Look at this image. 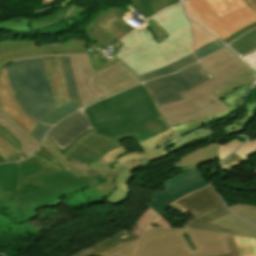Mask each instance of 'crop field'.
Listing matches in <instances>:
<instances>
[{
    "instance_id": "28ad6ade",
    "label": "crop field",
    "mask_w": 256,
    "mask_h": 256,
    "mask_svg": "<svg viewBox=\"0 0 256 256\" xmlns=\"http://www.w3.org/2000/svg\"><path fill=\"white\" fill-rule=\"evenodd\" d=\"M75 84L80 97L81 108L105 98L91 83L96 72L92 69L89 54H69Z\"/></svg>"
},
{
    "instance_id": "750c4746",
    "label": "crop field",
    "mask_w": 256,
    "mask_h": 256,
    "mask_svg": "<svg viewBox=\"0 0 256 256\" xmlns=\"http://www.w3.org/2000/svg\"><path fill=\"white\" fill-rule=\"evenodd\" d=\"M219 151V144H210L207 145L199 150H196L187 156H185L183 159H181L179 162L175 163V167H186L188 165L203 161L207 158H210L212 156L218 155Z\"/></svg>"
},
{
    "instance_id": "fb207236",
    "label": "crop field",
    "mask_w": 256,
    "mask_h": 256,
    "mask_svg": "<svg viewBox=\"0 0 256 256\" xmlns=\"http://www.w3.org/2000/svg\"><path fill=\"white\" fill-rule=\"evenodd\" d=\"M255 110H256V102L250 105L249 107L250 114L253 115Z\"/></svg>"
},
{
    "instance_id": "819c52e7",
    "label": "crop field",
    "mask_w": 256,
    "mask_h": 256,
    "mask_svg": "<svg viewBox=\"0 0 256 256\" xmlns=\"http://www.w3.org/2000/svg\"><path fill=\"white\" fill-rule=\"evenodd\" d=\"M1 201V200H0Z\"/></svg>"
},
{
    "instance_id": "d9b57169",
    "label": "crop field",
    "mask_w": 256,
    "mask_h": 256,
    "mask_svg": "<svg viewBox=\"0 0 256 256\" xmlns=\"http://www.w3.org/2000/svg\"><path fill=\"white\" fill-rule=\"evenodd\" d=\"M0 109L29 133L34 127L15 103L4 69L0 70Z\"/></svg>"
},
{
    "instance_id": "733c2abd",
    "label": "crop field",
    "mask_w": 256,
    "mask_h": 256,
    "mask_svg": "<svg viewBox=\"0 0 256 256\" xmlns=\"http://www.w3.org/2000/svg\"><path fill=\"white\" fill-rule=\"evenodd\" d=\"M33 162L37 167H39L42 171L29 174L23 178H20L18 187L31 182L37 178H41L53 172L64 169V167L42 146L40 147L39 152L32 157L27 158L24 161L19 162V167L26 165L28 163Z\"/></svg>"
},
{
    "instance_id": "dafd665d",
    "label": "crop field",
    "mask_w": 256,
    "mask_h": 256,
    "mask_svg": "<svg viewBox=\"0 0 256 256\" xmlns=\"http://www.w3.org/2000/svg\"><path fill=\"white\" fill-rule=\"evenodd\" d=\"M135 238H137V235L135 234L133 229L129 232L122 230L106 239H103L89 246V248L95 251L99 256H104L116 247L123 245Z\"/></svg>"
},
{
    "instance_id": "5142ce71",
    "label": "crop field",
    "mask_w": 256,
    "mask_h": 256,
    "mask_svg": "<svg viewBox=\"0 0 256 256\" xmlns=\"http://www.w3.org/2000/svg\"><path fill=\"white\" fill-rule=\"evenodd\" d=\"M175 203L194 214L197 218L223 206L211 185L193 192Z\"/></svg>"
},
{
    "instance_id": "ac0d7876",
    "label": "crop field",
    "mask_w": 256,
    "mask_h": 256,
    "mask_svg": "<svg viewBox=\"0 0 256 256\" xmlns=\"http://www.w3.org/2000/svg\"><path fill=\"white\" fill-rule=\"evenodd\" d=\"M202 71L213 77L184 93L186 99L158 106V110L169 127L194 121L229 107L216 100L212 91L226 85L249 67L228 48L222 49L200 61ZM208 106V107H206Z\"/></svg>"
},
{
    "instance_id": "c5b07064",
    "label": "crop field",
    "mask_w": 256,
    "mask_h": 256,
    "mask_svg": "<svg viewBox=\"0 0 256 256\" xmlns=\"http://www.w3.org/2000/svg\"><path fill=\"white\" fill-rule=\"evenodd\" d=\"M173 208H175L176 210H178L179 212H181L183 215H185L186 213H188V211H186L185 209L181 208L180 206H178L177 204L173 203L171 205Z\"/></svg>"
},
{
    "instance_id": "180be81f",
    "label": "crop field",
    "mask_w": 256,
    "mask_h": 256,
    "mask_svg": "<svg viewBox=\"0 0 256 256\" xmlns=\"http://www.w3.org/2000/svg\"><path fill=\"white\" fill-rule=\"evenodd\" d=\"M5 159L0 156V163H4Z\"/></svg>"
},
{
    "instance_id": "25e5ab78",
    "label": "crop field",
    "mask_w": 256,
    "mask_h": 256,
    "mask_svg": "<svg viewBox=\"0 0 256 256\" xmlns=\"http://www.w3.org/2000/svg\"><path fill=\"white\" fill-rule=\"evenodd\" d=\"M139 241V238L134 240V241H131L117 249H115L114 251H112L111 253H109L108 255L106 256H132L133 252H134V249L137 245Z\"/></svg>"
},
{
    "instance_id": "d14b1444",
    "label": "crop field",
    "mask_w": 256,
    "mask_h": 256,
    "mask_svg": "<svg viewBox=\"0 0 256 256\" xmlns=\"http://www.w3.org/2000/svg\"><path fill=\"white\" fill-rule=\"evenodd\" d=\"M217 158H218V156H216V157H212V158H210V159H208V160H205V161H203V162H200V163H197V164L191 165V166H189V167L185 168L183 171H186V170H189V169H191V170H193V169H197V167H198V166H200L202 163H204V162H208V161H211V160H214V159H217Z\"/></svg>"
},
{
    "instance_id": "0f1d7ab4",
    "label": "crop field",
    "mask_w": 256,
    "mask_h": 256,
    "mask_svg": "<svg viewBox=\"0 0 256 256\" xmlns=\"http://www.w3.org/2000/svg\"><path fill=\"white\" fill-rule=\"evenodd\" d=\"M77 6V5H76ZM70 12L69 14V18H68V23H71V22H75L79 19H81V13L79 12L82 8L80 7H76Z\"/></svg>"
},
{
    "instance_id": "eef30255",
    "label": "crop field",
    "mask_w": 256,
    "mask_h": 256,
    "mask_svg": "<svg viewBox=\"0 0 256 256\" xmlns=\"http://www.w3.org/2000/svg\"><path fill=\"white\" fill-rule=\"evenodd\" d=\"M137 11L146 18V20L153 14L162 9L180 2V0H129Z\"/></svg>"
},
{
    "instance_id": "00972430",
    "label": "crop field",
    "mask_w": 256,
    "mask_h": 256,
    "mask_svg": "<svg viewBox=\"0 0 256 256\" xmlns=\"http://www.w3.org/2000/svg\"><path fill=\"white\" fill-rule=\"evenodd\" d=\"M225 208L226 207L223 206L217 210H214V211L204 215L203 217L190 223L187 228L239 235L238 233H235V232L226 230L224 228L209 224V223H213V222L231 214V212H229L228 210H225Z\"/></svg>"
},
{
    "instance_id": "f4fd0767",
    "label": "crop field",
    "mask_w": 256,
    "mask_h": 256,
    "mask_svg": "<svg viewBox=\"0 0 256 256\" xmlns=\"http://www.w3.org/2000/svg\"><path fill=\"white\" fill-rule=\"evenodd\" d=\"M187 233L197 251H192ZM230 253L224 235L191 230L149 228L142 236L134 256H213Z\"/></svg>"
},
{
    "instance_id": "1f2cbd36",
    "label": "crop field",
    "mask_w": 256,
    "mask_h": 256,
    "mask_svg": "<svg viewBox=\"0 0 256 256\" xmlns=\"http://www.w3.org/2000/svg\"><path fill=\"white\" fill-rule=\"evenodd\" d=\"M0 135L3 136L5 139H7L8 141H10L13 146L20 152L17 155H14L8 159H6V162H12V161H19L21 159L26 158L23 153L20 151V147L18 142L4 129L0 128Z\"/></svg>"
},
{
    "instance_id": "34b2d1b8",
    "label": "crop field",
    "mask_w": 256,
    "mask_h": 256,
    "mask_svg": "<svg viewBox=\"0 0 256 256\" xmlns=\"http://www.w3.org/2000/svg\"><path fill=\"white\" fill-rule=\"evenodd\" d=\"M152 18L170 36L158 45L146 27L139 29L145 44L129 50L122 46L116 55L138 76L193 53L191 26L182 12L181 4L171 6Z\"/></svg>"
},
{
    "instance_id": "5a996713",
    "label": "crop field",
    "mask_w": 256,
    "mask_h": 256,
    "mask_svg": "<svg viewBox=\"0 0 256 256\" xmlns=\"http://www.w3.org/2000/svg\"><path fill=\"white\" fill-rule=\"evenodd\" d=\"M188 2L222 40L256 21V14L248 6L218 18L204 0H188Z\"/></svg>"
},
{
    "instance_id": "ade564c9",
    "label": "crop field",
    "mask_w": 256,
    "mask_h": 256,
    "mask_svg": "<svg viewBox=\"0 0 256 256\" xmlns=\"http://www.w3.org/2000/svg\"><path fill=\"white\" fill-rule=\"evenodd\" d=\"M256 13V0H243Z\"/></svg>"
},
{
    "instance_id": "22f410ed",
    "label": "crop field",
    "mask_w": 256,
    "mask_h": 256,
    "mask_svg": "<svg viewBox=\"0 0 256 256\" xmlns=\"http://www.w3.org/2000/svg\"><path fill=\"white\" fill-rule=\"evenodd\" d=\"M92 129L82 111H79L61 121L50 130L48 137L60 149L61 153L80 135Z\"/></svg>"
},
{
    "instance_id": "9d1cf04e",
    "label": "crop field",
    "mask_w": 256,
    "mask_h": 256,
    "mask_svg": "<svg viewBox=\"0 0 256 256\" xmlns=\"http://www.w3.org/2000/svg\"><path fill=\"white\" fill-rule=\"evenodd\" d=\"M0 153L5 159L18 153L10 142L0 136Z\"/></svg>"
},
{
    "instance_id": "f0312440",
    "label": "crop field",
    "mask_w": 256,
    "mask_h": 256,
    "mask_svg": "<svg viewBox=\"0 0 256 256\" xmlns=\"http://www.w3.org/2000/svg\"><path fill=\"white\" fill-rule=\"evenodd\" d=\"M3 192V190H2V188L0 187V193H2Z\"/></svg>"
},
{
    "instance_id": "c035e120",
    "label": "crop field",
    "mask_w": 256,
    "mask_h": 256,
    "mask_svg": "<svg viewBox=\"0 0 256 256\" xmlns=\"http://www.w3.org/2000/svg\"><path fill=\"white\" fill-rule=\"evenodd\" d=\"M60 61H61V67H62V71H63V75H64V79H65V83H66V87H67L70 99L71 100L77 99L79 97L74 84L69 59L68 57H64V58H60Z\"/></svg>"
},
{
    "instance_id": "7b73153f",
    "label": "crop field",
    "mask_w": 256,
    "mask_h": 256,
    "mask_svg": "<svg viewBox=\"0 0 256 256\" xmlns=\"http://www.w3.org/2000/svg\"><path fill=\"white\" fill-rule=\"evenodd\" d=\"M256 27V23H253L245 28H243L242 30L238 31L237 33H235L234 35L230 36L229 38L223 40L225 43L229 44L231 41H233L236 37L246 33L247 31H249L250 29Z\"/></svg>"
},
{
    "instance_id": "d1516ede",
    "label": "crop field",
    "mask_w": 256,
    "mask_h": 256,
    "mask_svg": "<svg viewBox=\"0 0 256 256\" xmlns=\"http://www.w3.org/2000/svg\"><path fill=\"white\" fill-rule=\"evenodd\" d=\"M97 73L92 85L106 97L141 83L134 73L119 61Z\"/></svg>"
},
{
    "instance_id": "447ae74e",
    "label": "crop field",
    "mask_w": 256,
    "mask_h": 256,
    "mask_svg": "<svg viewBox=\"0 0 256 256\" xmlns=\"http://www.w3.org/2000/svg\"><path fill=\"white\" fill-rule=\"evenodd\" d=\"M246 160L239 157L236 154H232L225 161H223L220 166L223 167V170H228L236 167L239 163L245 162Z\"/></svg>"
},
{
    "instance_id": "d3111659",
    "label": "crop field",
    "mask_w": 256,
    "mask_h": 256,
    "mask_svg": "<svg viewBox=\"0 0 256 256\" xmlns=\"http://www.w3.org/2000/svg\"><path fill=\"white\" fill-rule=\"evenodd\" d=\"M203 180H205L203 175L200 172L193 170L188 173L181 174L178 177L164 183V186L168 190L169 194H171Z\"/></svg>"
},
{
    "instance_id": "0bd39190",
    "label": "crop field",
    "mask_w": 256,
    "mask_h": 256,
    "mask_svg": "<svg viewBox=\"0 0 256 256\" xmlns=\"http://www.w3.org/2000/svg\"><path fill=\"white\" fill-rule=\"evenodd\" d=\"M255 79V76L252 72V70H248L239 77H237L235 80L224 86L223 88L213 92L214 96L217 98V100L232 91L240 88L243 84Z\"/></svg>"
},
{
    "instance_id": "b54c1fbb",
    "label": "crop field",
    "mask_w": 256,
    "mask_h": 256,
    "mask_svg": "<svg viewBox=\"0 0 256 256\" xmlns=\"http://www.w3.org/2000/svg\"><path fill=\"white\" fill-rule=\"evenodd\" d=\"M159 215L154 212L150 207L145 212L144 217L137 224L136 228H133L138 237L144 232V230L158 217Z\"/></svg>"
},
{
    "instance_id": "1f1604b0",
    "label": "crop field",
    "mask_w": 256,
    "mask_h": 256,
    "mask_svg": "<svg viewBox=\"0 0 256 256\" xmlns=\"http://www.w3.org/2000/svg\"><path fill=\"white\" fill-rule=\"evenodd\" d=\"M255 175H256V169H254V172H253Z\"/></svg>"
},
{
    "instance_id": "7312dd0a",
    "label": "crop field",
    "mask_w": 256,
    "mask_h": 256,
    "mask_svg": "<svg viewBox=\"0 0 256 256\" xmlns=\"http://www.w3.org/2000/svg\"><path fill=\"white\" fill-rule=\"evenodd\" d=\"M97 254H95L94 252H89L88 254H86V255H83V256H96Z\"/></svg>"
},
{
    "instance_id": "89e229c0",
    "label": "crop field",
    "mask_w": 256,
    "mask_h": 256,
    "mask_svg": "<svg viewBox=\"0 0 256 256\" xmlns=\"http://www.w3.org/2000/svg\"><path fill=\"white\" fill-rule=\"evenodd\" d=\"M250 118V116L244 117L228 125L226 128H224L225 136H231L237 132H240L243 127L248 123Z\"/></svg>"
},
{
    "instance_id": "1d83c4d3",
    "label": "crop field",
    "mask_w": 256,
    "mask_h": 256,
    "mask_svg": "<svg viewBox=\"0 0 256 256\" xmlns=\"http://www.w3.org/2000/svg\"><path fill=\"white\" fill-rule=\"evenodd\" d=\"M169 129V127L164 122L163 118L154 120L134 131L130 134L135 138L137 143L144 141L145 139L154 136L162 131Z\"/></svg>"
},
{
    "instance_id": "5866460e",
    "label": "crop field",
    "mask_w": 256,
    "mask_h": 256,
    "mask_svg": "<svg viewBox=\"0 0 256 256\" xmlns=\"http://www.w3.org/2000/svg\"><path fill=\"white\" fill-rule=\"evenodd\" d=\"M100 25L120 41L125 35L135 30L133 27H131L113 14Z\"/></svg>"
},
{
    "instance_id": "ae1a2a85",
    "label": "crop field",
    "mask_w": 256,
    "mask_h": 256,
    "mask_svg": "<svg viewBox=\"0 0 256 256\" xmlns=\"http://www.w3.org/2000/svg\"><path fill=\"white\" fill-rule=\"evenodd\" d=\"M214 224L235 232H239L241 233V236L256 237V227L239 219L233 214L221 219Z\"/></svg>"
},
{
    "instance_id": "5d738f31",
    "label": "crop field",
    "mask_w": 256,
    "mask_h": 256,
    "mask_svg": "<svg viewBox=\"0 0 256 256\" xmlns=\"http://www.w3.org/2000/svg\"><path fill=\"white\" fill-rule=\"evenodd\" d=\"M192 25L195 35L194 50L216 39L208 33H206L205 31L198 28L197 26H195L193 23Z\"/></svg>"
},
{
    "instance_id": "3316defc",
    "label": "crop field",
    "mask_w": 256,
    "mask_h": 256,
    "mask_svg": "<svg viewBox=\"0 0 256 256\" xmlns=\"http://www.w3.org/2000/svg\"><path fill=\"white\" fill-rule=\"evenodd\" d=\"M87 42L70 40L67 44L36 48L33 42L0 43V69L13 62V59L49 53H82L88 52Z\"/></svg>"
},
{
    "instance_id": "0765c3eb",
    "label": "crop field",
    "mask_w": 256,
    "mask_h": 256,
    "mask_svg": "<svg viewBox=\"0 0 256 256\" xmlns=\"http://www.w3.org/2000/svg\"><path fill=\"white\" fill-rule=\"evenodd\" d=\"M52 126H47L43 123L37 122L33 130L31 131V135L36 138L39 142H41L42 138L44 135L47 133V131L51 128Z\"/></svg>"
},
{
    "instance_id": "4a817a6b",
    "label": "crop field",
    "mask_w": 256,
    "mask_h": 256,
    "mask_svg": "<svg viewBox=\"0 0 256 256\" xmlns=\"http://www.w3.org/2000/svg\"><path fill=\"white\" fill-rule=\"evenodd\" d=\"M0 127L7 130L20 143L21 151L26 157L36 153L40 143L1 110Z\"/></svg>"
},
{
    "instance_id": "8a807250",
    "label": "crop field",
    "mask_w": 256,
    "mask_h": 256,
    "mask_svg": "<svg viewBox=\"0 0 256 256\" xmlns=\"http://www.w3.org/2000/svg\"><path fill=\"white\" fill-rule=\"evenodd\" d=\"M182 138L172 129H169L140 143L142 153L128 154L123 146L108 152L101 158L112 165L106 184L101 185L95 176L75 177L66 169L43 177L40 180L46 185L45 187L18 199V204L8 207V210L17 224L20 225L39 216L35 211L37 208L55 207L63 203L58 197L70 192L90 187L106 199L115 191L114 179L125 162L133 158L153 160L164 156L168 154L166 147L175 144Z\"/></svg>"
},
{
    "instance_id": "92a150f3",
    "label": "crop field",
    "mask_w": 256,
    "mask_h": 256,
    "mask_svg": "<svg viewBox=\"0 0 256 256\" xmlns=\"http://www.w3.org/2000/svg\"><path fill=\"white\" fill-rule=\"evenodd\" d=\"M209 183L205 180L201 183L196 185L190 186L185 188L181 191L173 193L171 195L168 194L167 190H163L161 192L155 193L152 195L153 200L150 202V207L156 211L159 215L161 212L174 201L178 200L179 198L197 190L201 189L202 187L207 186Z\"/></svg>"
},
{
    "instance_id": "dd49c442",
    "label": "crop field",
    "mask_w": 256,
    "mask_h": 256,
    "mask_svg": "<svg viewBox=\"0 0 256 256\" xmlns=\"http://www.w3.org/2000/svg\"><path fill=\"white\" fill-rule=\"evenodd\" d=\"M128 138L132 136L125 134L113 138L105 137L98 135L93 129L80 136L62 154L47 136L42 145L75 176H88L86 171L91 169H96L98 174L106 176L111 165L100 158L109 150L122 146L118 142Z\"/></svg>"
},
{
    "instance_id": "028f5c9d",
    "label": "crop field",
    "mask_w": 256,
    "mask_h": 256,
    "mask_svg": "<svg viewBox=\"0 0 256 256\" xmlns=\"http://www.w3.org/2000/svg\"><path fill=\"white\" fill-rule=\"evenodd\" d=\"M42 186H44V184L38 179L18 189L0 194V199L6 204V206H11L17 203L18 198Z\"/></svg>"
},
{
    "instance_id": "a9b5d70f",
    "label": "crop field",
    "mask_w": 256,
    "mask_h": 256,
    "mask_svg": "<svg viewBox=\"0 0 256 256\" xmlns=\"http://www.w3.org/2000/svg\"><path fill=\"white\" fill-rule=\"evenodd\" d=\"M4 69H5L10 87L12 89L13 95L15 97L16 103L23 110V112L26 114V116L31 120V122L36 124V122L38 120L31 113V111L25 101V98H24L18 77L16 75L15 69L13 67V64H10V65L4 67Z\"/></svg>"
},
{
    "instance_id": "ae633e8c",
    "label": "crop field",
    "mask_w": 256,
    "mask_h": 256,
    "mask_svg": "<svg viewBox=\"0 0 256 256\" xmlns=\"http://www.w3.org/2000/svg\"><path fill=\"white\" fill-rule=\"evenodd\" d=\"M64 56H68V54H50V55H41V56H35V57L20 58V59L14 60V62L23 60V59L38 58V57H64Z\"/></svg>"
},
{
    "instance_id": "c3a83c6f",
    "label": "crop field",
    "mask_w": 256,
    "mask_h": 256,
    "mask_svg": "<svg viewBox=\"0 0 256 256\" xmlns=\"http://www.w3.org/2000/svg\"><path fill=\"white\" fill-rule=\"evenodd\" d=\"M72 1H73V0H65V1H63L61 4H58V5L56 6V8L58 9V8L66 7V6H68V4H70Z\"/></svg>"
},
{
    "instance_id": "d23c7cc5",
    "label": "crop field",
    "mask_w": 256,
    "mask_h": 256,
    "mask_svg": "<svg viewBox=\"0 0 256 256\" xmlns=\"http://www.w3.org/2000/svg\"><path fill=\"white\" fill-rule=\"evenodd\" d=\"M225 47V45H223L220 41H218L217 39L215 41H213L212 43L196 50V56L197 58L200 60L210 54H212L213 52L221 49Z\"/></svg>"
},
{
    "instance_id": "bd1437ed",
    "label": "crop field",
    "mask_w": 256,
    "mask_h": 256,
    "mask_svg": "<svg viewBox=\"0 0 256 256\" xmlns=\"http://www.w3.org/2000/svg\"><path fill=\"white\" fill-rule=\"evenodd\" d=\"M78 110H80L79 99L70 101V102L54 109L53 111L49 112L44 117H42L40 119V121L45 122L47 124L55 125L56 123L61 121L66 116H68Z\"/></svg>"
},
{
    "instance_id": "730fd06b",
    "label": "crop field",
    "mask_w": 256,
    "mask_h": 256,
    "mask_svg": "<svg viewBox=\"0 0 256 256\" xmlns=\"http://www.w3.org/2000/svg\"><path fill=\"white\" fill-rule=\"evenodd\" d=\"M127 168L122 166L115 182L117 184L116 191L110 195L106 200L112 205L116 206L124 202L127 197L130 195V189L128 187V182L134 176L131 174Z\"/></svg>"
},
{
    "instance_id": "120bbe31",
    "label": "crop field",
    "mask_w": 256,
    "mask_h": 256,
    "mask_svg": "<svg viewBox=\"0 0 256 256\" xmlns=\"http://www.w3.org/2000/svg\"><path fill=\"white\" fill-rule=\"evenodd\" d=\"M197 62V59L195 57V54H191L169 66H166L164 68L158 69L156 71L150 72L148 74L142 75L140 76L141 80L143 82L150 80L154 77H158V76H162V75H166V74H170V73H174L177 72L193 63Z\"/></svg>"
},
{
    "instance_id": "214f88e0",
    "label": "crop field",
    "mask_w": 256,
    "mask_h": 256,
    "mask_svg": "<svg viewBox=\"0 0 256 256\" xmlns=\"http://www.w3.org/2000/svg\"><path fill=\"white\" fill-rule=\"evenodd\" d=\"M115 14L122 19V16L128 11L122 8H109L108 13H101L87 28L86 31L93 32L94 36L90 39L99 43L103 47L109 50L111 44L114 41V37L111 36L105 29H103L99 24L104 21L111 14ZM123 20V19H122ZM126 22V21H125ZM128 23V22H127Z\"/></svg>"
},
{
    "instance_id": "0fb4a251",
    "label": "crop field",
    "mask_w": 256,
    "mask_h": 256,
    "mask_svg": "<svg viewBox=\"0 0 256 256\" xmlns=\"http://www.w3.org/2000/svg\"><path fill=\"white\" fill-rule=\"evenodd\" d=\"M255 152H256V138L250 140L248 143L242 146L235 153L246 159Z\"/></svg>"
},
{
    "instance_id": "425ffa30",
    "label": "crop field",
    "mask_w": 256,
    "mask_h": 256,
    "mask_svg": "<svg viewBox=\"0 0 256 256\" xmlns=\"http://www.w3.org/2000/svg\"><path fill=\"white\" fill-rule=\"evenodd\" d=\"M212 135H213V133H212L211 129H204L202 131L194 133V134L190 135L187 139H185L182 143L175 146L173 151L175 152V151L187 146L193 140L203 139V138H206V137H209Z\"/></svg>"
},
{
    "instance_id": "dbb93151",
    "label": "crop field",
    "mask_w": 256,
    "mask_h": 256,
    "mask_svg": "<svg viewBox=\"0 0 256 256\" xmlns=\"http://www.w3.org/2000/svg\"><path fill=\"white\" fill-rule=\"evenodd\" d=\"M242 144L243 143L234 139L232 141L224 143L223 145H220L219 162Z\"/></svg>"
},
{
    "instance_id": "03da06ac",
    "label": "crop field",
    "mask_w": 256,
    "mask_h": 256,
    "mask_svg": "<svg viewBox=\"0 0 256 256\" xmlns=\"http://www.w3.org/2000/svg\"><path fill=\"white\" fill-rule=\"evenodd\" d=\"M234 213L246 218L247 220L256 224V207L243 205V204H236L229 207Z\"/></svg>"
},
{
    "instance_id": "73cf0c24",
    "label": "crop field",
    "mask_w": 256,
    "mask_h": 256,
    "mask_svg": "<svg viewBox=\"0 0 256 256\" xmlns=\"http://www.w3.org/2000/svg\"><path fill=\"white\" fill-rule=\"evenodd\" d=\"M185 10L189 16L195 23H200L202 27L216 35L211 28L207 25V23L203 20V18L191 7V5L187 2V0L184 1ZM217 36V35H216ZM218 37V36H217Z\"/></svg>"
},
{
    "instance_id": "e1f06a70",
    "label": "crop field",
    "mask_w": 256,
    "mask_h": 256,
    "mask_svg": "<svg viewBox=\"0 0 256 256\" xmlns=\"http://www.w3.org/2000/svg\"><path fill=\"white\" fill-rule=\"evenodd\" d=\"M205 1L218 17L234 9L246 6V4L242 0H205Z\"/></svg>"
},
{
    "instance_id": "412701ff",
    "label": "crop field",
    "mask_w": 256,
    "mask_h": 256,
    "mask_svg": "<svg viewBox=\"0 0 256 256\" xmlns=\"http://www.w3.org/2000/svg\"><path fill=\"white\" fill-rule=\"evenodd\" d=\"M84 110L97 133L109 137L129 133L130 130L160 118L143 84Z\"/></svg>"
},
{
    "instance_id": "d32e631a",
    "label": "crop field",
    "mask_w": 256,
    "mask_h": 256,
    "mask_svg": "<svg viewBox=\"0 0 256 256\" xmlns=\"http://www.w3.org/2000/svg\"><path fill=\"white\" fill-rule=\"evenodd\" d=\"M19 178L17 163L0 165V185L4 192L15 189Z\"/></svg>"
},
{
    "instance_id": "cbeb9de0",
    "label": "crop field",
    "mask_w": 256,
    "mask_h": 256,
    "mask_svg": "<svg viewBox=\"0 0 256 256\" xmlns=\"http://www.w3.org/2000/svg\"><path fill=\"white\" fill-rule=\"evenodd\" d=\"M252 82V81H251ZM251 82L243 85L240 89L234 91L233 93L227 95L225 103L231 108L229 110H226L224 112L194 121L190 123H186L180 126H174L171 127L173 130H175L179 135L185 137L190 132L204 128L206 126H209L213 123H216L218 121H222L224 119H227L231 115H233L238 107V104L240 103L241 99L243 98L247 88L251 84Z\"/></svg>"
},
{
    "instance_id": "4177f3b9",
    "label": "crop field",
    "mask_w": 256,
    "mask_h": 256,
    "mask_svg": "<svg viewBox=\"0 0 256 256\" xmlns=\"http://www.w3.org/2000/svg\"><path fill=\"white\" fill-rule=\"evenodd\" d=\"M231 254L219 256H256V239L226 235Z\"/></svg>"
},
{
    "instance_id": "bc2a9ffb",
    "label": "crop field",
    "mask_w": 256,
    "mask_h": 256,
    "mask_svg": "<svg viewBox=\"0 0 256 256\" xmlns=\"http://www.w3.org/2000/svg\"><path fill=\"white\" fill-rule=\"evenodd\" d=\"M56 106L69 101L59 58H43Z\"/></svg>"
},
{
    "instance_id": "db79e9e6",
    "label": "crop field",
    "mask_w": 256,
    "mask_h": 256,
    "mask_svg": "<svg viewBox=\"0 0 256 256\" xmlns=\"http://www.w3.org/2000/svg\"><path fill=\"white\" fill-rule=\"evenodd\" d=\"M147 163H149V161H147V160H132V161L128 162L127 164H125L124 166H126L128 169H130L133 172L137 168H139Z\"/></svg>"
},
{
    "instance_id": "c21b1889",
    "label": "crop field",
    "mask_w": 256,
    "mask_h": 256,
    "mask_svg": "<svg viewBox=\"0 0 256 256\" xmlns=\"http://www.w3.org/2000/svg\"><path fill=\"white\" fill-rule=\"evenodd\" d=\"M77 1L78 0H76V2L73 5H75L77 3ZM72 6H70L67 9L60 10V11L50 15L47 18L40 19V20H31L33 30L41 28V27H45V26H48V25L55 24V23L63 20L68 15V13L70 12Z\"/></svg>"
},
{
    "instance_id": "d8731c3e",
    "label": "crop field",
    "mask_w": 256,
    "mask_h": 256,
    "mask_svg": "<svg viewBox=\"0 0 256 256\" xmlns=\"http://www.w3.org/2000/svg\"><path fill=\"white\" fill-rule=\"evenodd\" d=\"M210 77L212 76L201 71L199 62H197L177 72V74L159 78L144 84L158 106L183 99V92L201 84Z\"/></svg>"
},
{
    "instance_id": "e52e79f7",
    "label": "crop field",
    "mask_w": 256,
    "mask_h": 256,
    "mask_svg": "<svg viewBox=\"0 0 256 256\" xmlns=\"http://www.w3.org/2000/svg\"><path fill=\"white\" fill-rule=\"evenodd\" d=\"M25 98L32 113L39 120L56 108L42 58L13 63Z\"/></svg>"
},
{
    "instance_id": "1d79db26",
    "label": "crop field",
    "mask_w": 256,
    "mask_h": 256,
    "mask_svg": "<svg viewBox=\"0 0 256 256\" xmlns=\"http://www.w3.org/2000/svg\"><path fill=\"white\" fill-rule=\"evenodd\" d=\"M127 49L143 44L142 39L140 38L137 30L129 34L127 37H125L121 42Z\"/></svg>"
},
{
    "instance_id": "c39391a2",
    "label": "crop field",
    "mask_w": 256,
    "mask_h": 256,
    "mask_svg": "<svg viewBox=\"0 0 256 256\" xmlns=\"http://www.w3.org/2000/svg\"><path fill=\"white\" fill-rule=\"evenodd\" d=\"M154 223L161 227H170L169 224L161 216Z\"/></svg>"
},
{
    "instance_id": "b80d0937",
    "label": "crop field",
    "mask_w": 256,
    "mask_h": 256,
    "mask_svg": "<svg viewBox=\"0 0 256 256\" xmlns=\"http://www.w3.org/2000/svg\"><path fill=\"white\" fill-rule=\"evenodd\" d=\"M230 47L240 54H245L256 47V29L236 40Z\"/></svg>"
},
{
    "instance_id": "e1d0b9f6",
    "label": "crop field",
    "mask_w": 256,
    "mask_h": 256,
    "mask_svg": "<svg viewBox=\"0 0 256 256\" xmlns=\"http://www.w3.org/2000/svg\"><path fill=\"white\" fill-rule=\"evenodd\" d=\"M243 59L250 65L256 74V51L246 57H243Z\"/></svg>"
},
{
    "instance_id": "78b8030e",
    "label": "crop field",
    "mask_w": 256,
    "mask_h": 256,
    "mask_svg": "<svg viewBox=\"0 0 256 256\" xmlns=\"http://www.w3.org/2000/svg\"><path fill=\"white\" fill-rule=\"evenodd\" d=\"M39 170L40 169H38L33 163H31L20 168V177Z\"/></svg>"
}]
</instances>
